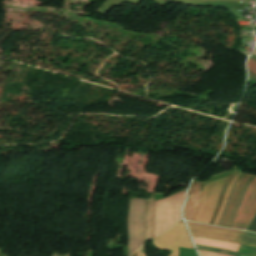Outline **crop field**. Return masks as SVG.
Instances as JSON below:
<instances>
[{
  "mask_svg": "<svg viewBox=\"0 0 256 256\" xmlns=\"http://www.w3.org/2000/svg\"><path fill=\"white\" fill-rule=\"evenodd\" d=\"M196 246L198 249L214 251V252H218V253H222L230 256H256V247L242 245V244L239 245V249L237 253L223 250V249L213 248V247L199 246V245H196Z\"/></svg>",
  "mask_w": 256,
  "mask_h": 256,
  "instance_id": "obj_8",
  "label": "crop field"
},
{
  "mask_svg": "<svg viewBox=\"0 0 256 256\" xmlns=\"http://www.w3.org/2000/svg\"><path fill=\"white\" fill-rule=\"evenodd\" d=\"M201 182L193 181L189 187L188 199L186 201L184 218L192 220L199 204Z\"/></svg>",
  "mask_w": 256,
  "mask_h": 256,
  "instance_id": "obj_7",
  "label": "crop field"
},
{
  "mask_svg": "<svg viewBox=\"0 0 256 256\" xmlns=\"http://www.w3.org/2000/svg\"><path fill=\"white\" fill-rule=\"evenodd\" d=\"M186 223L193 237H201L239 243L244 232L241 230L218 228L200 223Z\"/></svg>",
  "mask_w": 256,
  "mask_h": 256,
  "instance_id": "obj_6",
  "label": "crop field"
},
{
  "mask_svg": "<svg viewBox=\"0 0 256 256\" xmlns=\"http://www.w3.org/2000/svg\"><path fill=\"white\" fill-rule=\"evenodd\" d=\"M195 244L200 245H207V246H213L218 248H223L231 251H237L238 245L236 243H229V242H221V241H214V240H208V239H201V238H193Z\"/></svg>",
  "mask_w": 256,
  "mask_h": 256,
  "instance_id": "obj_9",
  "label": "crop field"
},
{
  "mask_svg": "<svg viewBox=\"0 0 256 256\" xmlns=\"http://www.w3.org/2000/svg\"><path fill=\"white\" fill-rule=\"evenodd\" d=\"M145 199L132 198L130 203L129 227V256L144 243Z\"/></svg>",
  "mask_w": 256,
  "mask_h": 256,
  "instance_id": "obj_3",
  "label": "crop field"
},
{
  "mask_svg": "<svg viewBox=\"0 0 256 256\" xmlns=\"http://www.w3.org/2000/svg\"><path fill=\"white\" fill-rule=\"evenodd\" d=\"M241 173H242V170H239V172L233 177V179H232L231 182L229 183L228 188H227L226 193H225V196H224V198H223L222 204H221V206H220V209H219V211H218V214H217V216H216L215 221H214L213 224H215V225L217 224L218 219H219V217H220V215H221V212H222V210H223V207H224V205H225L226 199H227V197H228V194H229V192H230V190H231L233 184L235 183V181L237 180V178L240 176Z\"/></svg>",
  "mask_w": 256,
  "mask_h": 256,
  "instance_id": "obj_10",
  "label": "crop field"
},
{
  "mask_svg": "<svg viewBox=\"0 0 256 256\" xmlns=\"http://www.w3.org/2000/svg\"><path fill=\"white\" fill-rule=\"evenodd\" d=\"M184 192L155 201L154 237L169 229L180 219V207L183 203Z\"/></svg>",
  "mask_w": 256,
  "mask_h": 256,
  "instance_id": "obj_2",
  "label": "crop field"
},
{
  "mask_svg": "<svg viewBox=\"0 0 256 256\" xmlns=\"http://www.w3.org/2000/svg\"><path fill=\"white\" fill-rule=\"evenodd\" d=\"M1 256H3V248H1Z\"/></svg>",
  "mask_w": 256,
  "mask_h": 256,
  "instance_id": "obj_14",
  "label": "crop field"
},
{
  "mask_svg": "<svg viewBox=\"0 0 256 256\" xmlns=\"http://www.w3.org/2000/svg\"><path fill=\"white\" fill-rule=\"evenodd\" d=\"M57 253H52V256H56Z\"/></svg>",
  "mask_w": 256,
  "mask_h": 256,
  "instance_id": "obj_15",
  "label": "crop field"
},
{
  "mask_svg": "<svg viewBox=\"0 0 256 256\" xmlns=\"http://www.w3.org/2000/svg\"><path fill=\"white\" fill-rule=\"evenodd\" d=\"M227 177L204 183L201 189V200L193 219L194 222L209 223L214 207L217 203L218 195L222 184Z\"/></svg>",
  "mask_w": 256,
  "mask_h": 256,
  "instance_id": "obj_4",
  "label": "crop field"
},
{
  "mask_svg": "<svg viewBox=\"0 0 256 256\" xmlns=\"http://www.w3.org/2000/svg\"><path fill=\"white\" fill-rule=\"evenodd\" d=\"M153 245L163 250H172L169 256H178V246L194 249L183 221H179L168 232L154 238Z\"/></svg>",
  "mask_w": 256,
  "mask_h": 256,
  "instance_id": "obj_5",
  "label": "crop field"
},
{
  "mask_svg": "<svg viewBox=\"0 0 256 256\" xmlns=\"http://www.w3.org/2000/svg\"><path fill=\"white\" fill-rule=\"evenodd\" d=\"M240 243L256 246V233L245 231Z\"/></svg>",
  "mask_w": 256,
  "mask_h": 256,
  "instance_id": "obj_11",
  "label": "crop field"
},
{
  "mask_svg": "<svg viewBox=\"0 0 256 256\" xmlns=\"http://www.w3.org/2000/svg\"><path fill=\"white\" fill-rule=\"evenodd\" d=\"M254 55H256V54L254 53ZM254 55H252V56L256 58V56H254ZM248 68L250 70H252L254 73H256V62L249 59Z\"/></svg>",
  "mask_w": 256,
  "mask_h": 256,
  "instance_id": "obj_13",
  "label": "crop field"
},
{
  "mask_svg": "<svg viewBox=\"0 0 256 256\" xmlns=\"http://www.w3.org/2000/svg\"><path fill=\"white\" fill-rule=\"evenodd\" d=\"M4 256H7V255H4Z\"/></svg>",
  "mask_w": 256,
  "mask_h": 256,
  "instance_id": "obj_16",
  "label": "crop field"
},
{
  "mask_svg": "<svg viewBox=\"0 0 256 256\" xmlns=\"http://www.w3.org/2000/svg\"><path fill=\"white\" fill-rule=\"evenodd\" d=\"M256 210V176L242 173L235 183L217 225L244 230Z\"/></svg>",
  "mask_w": 256,
  "mask_h": 256,
  "instance_id": "obj_1",
  "label": "crop field"
},
{
  "mask_svg": "<svg viewBox=\"0 0 256 256\" xmlns=\"http://www.w3.org/2000/svg\"><path fill=\"white\" fill-rule=\"evenodd\" d=\"M198 251L200 256H226V255L216 254V253L202 251V250H198Z\"/></svg>",
  "mask_w": 256,
  "mask_h": 256,
  "instance_id": "obj_12",
  "label": "crop field"
}]
</instances>
